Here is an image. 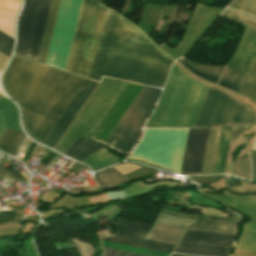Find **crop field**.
I'll return each mask as SVG.
<instances>
[{
  "label": "crop field",
  "mask_w": 256,
  "mask_h": 256,
  "mask_svg": "<svg viewBox=\"0 0 256 256\" xmlns=\"http://www.w3.org/2000/svg\"><path fill=\"white\" fill-rule=\"evenodd\" d=\"M85 78L14 55L3 87L21 108L24 128L41 142Z\"/></svg>",
  "instance_id": "8a807250"
},
{
  "label": "crop field",
  "mask_w": 256,
  "mask_h": 256,
  "mask_svg": "<svg viewBox=\"0 0 256 256\" xmlns=\"http://www.w3.org/2000/svg\"><path fill=\"white\" fill-rule=\"evenodd\" d=\"M107 11L131 25L172 62L135 25L116 12ZM111 13H106L90 78L99 81L101 75H105L162 88L171 63L143 36Z\"/></svg>",
  "instance_id": "ac0d7876"
},
{
  "label": "crop field",
  "mask_w": 256,
  "mask_h": 256,
  "mask_svg": "<svg viewBox=\"0 0 256 256\" xmlns=\"http://www.w3.org/2000/svg\"><path fill=\"white\" fill-rule=\"evenodd\" d=\"M141 88V85L127 82L90 138L104 142ZM160 91L161 90L143 86L103 144L125 155L135 144L141 126L154 105Z\"/></svg>",
  "instance_id": "34b2d1b8"
},
{
  "label": "crop field",
  "mask_w": 256,
  "mask_h": 256,
  "mask_svg": "<svg viewBox=\"0 0 256 256\" xmlns=\"http://www.w3.org/2000/svg\"><path fill=\"white\" fill-rule=\"evenodd\" d=\"M207 85L173 65L157 108L146 127H192Z\"/></svg>",
  "instance_id": "412701ff"
},
{
  "label": "crop field",
  "mask_w": 256,
  "mask_h": 256,
  "mask_svg": "<svg viewBox=\"0 0 256 256\" xmlns=\"http://www.w3.org/2000/svg\"><path fill=\"white\" fill-rule=\"evenodd\" d=\"M106 9L96 0H83L66 71L90 77Z\"/></svg>",
  "instance_id": "f4fd0767"
},
{
  "label": "crop field",
  "mask_w": 256,
  "mask_h": 256,
  "mask_svg": "<svg viewBox=\"0 0 256 256\" xmlns=\"http://www.w3.org/2000/svg\"><path fill=\"white\" fill-rule=\"evenodd\" d=\"M126 82L103 78L55 150L65 153L82 135L89 138Z\"/></svg>",
  "instance_id": "dd49c442"
},
{
  "label": "crop field",
  "mask_w": 256,
  "mask_h": 256,
  "mask_svg": "<svg viewBox=\"0 0 256 256\" xmlns=\"http://www.w3.org/2000/svg\"><path fill=\"white\" fill-rule=\"evenodd\" d=\"M239 102L209 86L193 127L252 125V111Z\"/></svg>",
  "instance_id": "e52e79f7"
},
{
  "label": "crop field",
  "mask_w": 256,
  "mask_h": 256,
  "mask_svg": "<svg viewBox=\"0 0 256 256\" xmlns=\"http://www.w3.org/2000/svg\"><path fill=\"white\" fill-rule=\"evenodd\" d=\"M51 0H25L18 23L15 54L37 59Z\"/></svg>",
  "instance_id": "d8731c3e"
},
{
  "label": "crop field",
  "mask_w": 256,
  "mask_h": 256,
  "mask_svg": "<svg viewBox=\"0 0 256 256\" xmlns=\"http://www.w3.org/2000/svg\"><path fill=\"white\" fill-rule=\"evenodd\" d=\"M82 0H61L46 64L65 69Z\"/></svg>",
  "instance_id": "5a996713"
},
{
  "label": "crop field",
  "mask_w": 256,
  "mask_h": 256,
  "mask_svg": "<svg viewBox=\"0 0 256 256\" xmlns=\"http://www.w3.org/2000/svg\"><path fill=\"white\" fill-rule=\"evenodd\" d=\"M235 234L185 230L175 253L203 256H229Z\"/></svg>",
  "instance_id": "3316defc"
},
{
  "label": "crop field",
  "mask_w": 256,
  "mask_h": 256,
  "mask_svg": "<svg viewBox=\"0 0 256 256\" xmlns=\"http://www.w3.org/2000/svg\"><path fill=\"white\" fill-rule=\"evenodd\" d=\"M151 225L118 219V233L101 240L171 254L174 246L143 239Z\"/></svg>",
  "instance_id": "28ad6ade"
},
{
  "label": "crop field",
  "mask_w": 256,
  "mask_h": 256,
  "mask_svg": "<svg viewBox=\"0 0 256 256\" xmlns=\"http://www.w3.org/2000/svg\"><path fill=\"white\" fill-rule=\"evenodd\" d=\"M221 11V9L197 4L181 41L168 54L174 59L184 55Z\"/></svg>",
  "instance_id": "d1516ede"
},
{
  "label": "crop field",
  "mask_w": 256,
  "mask_h": 256,
  "mask_svg": "<svg viewBox=\"0 0 256 256\" xmlns=\"http://www.w3.org/2000/svg\"><path fill=\"white\" fill-rule=\"evenodd\" d=\"M97 84L98 83L86 79L48 136L43 141V144L54 148Z\"/></svg>",
  "instance_id": "22f410ed"
},
{
  "label": "crop field",
  "mask_w": 256,
  "mask_h": 256,
  "mask_svg": "<svg viewBox=\"0 0 256 256\" xmlns=\"http://www.w3.org/2000/svg\"><path fill=\"white\" fill-rule=\"evenodd\" d=\"M162 212L179 215V216L207 219V220H221V221L234 222L233 218L196 216V215H188V214L176 213V212L165 211V210H162ZM156 222L182 226L187 228H193V229H203V230L231 232V233H236V227L238 224V223H230V222L205 221V220L188 219L184 217H174V216H169L162 213H160Z\"/></svg>",
  "instance_id": "cbeb9de0"
},
{
  "label": "crop field",
  "mask_w": 256,
  "mask_h": 256,
  "mask_svg": "<svg viewBox=\"0 0 256 256\" xmlns=\"http://www.w3.org/2000/svg\"><path fill=\"white\" fill-rule=\"evenodd\" d=\"M209 129H189L181 171L183 175L201 172Z\"/></svg>",
  "instance_id": "5142ce71"
},
{
  "label": "crop field",
  "mask_w": 256,
  "mask_h": 256,
  "mask_svg": "<svg viewBox=\"0 0 256 256\" xmlns=\"http://www.w3.org/2000/svg\"><path fill=\"white\" fill-rule=\"evenodd\" d=\"M255 56L256 30L247 26L234 56L227 65L247 73Z\"/></svg>",
  "instance_id": "d9b57169"
},
{
  "label": "crop field",
  "mask_w": 256,
  "mask_h": 256,
  "mask_svg": "<svg viewBox=\"0 0 256 256\" xmlns=\"http://www.w3.org/2000/svg\"><path fill=\"white\" fill-rule=\"evenodd\" d=\"M3 97L0 99V136L6 127L22 132L17 107Z\"/></svg>",
  "instance_id": "733c2abd"
},
{
  "label": "crop field",
  "mask_w": 256,
  "mask_h": 256,
  "mask_svg": "<svg viewBox=\"0 0 256 256\" xmlns=\"http://www.w3.org/2000/svg\"><path fill=\"white\" fill-rule=\"evenodd\" d=\"M17 0H0V30L13 36L14 21L20 9Z\"/></svg>",
  "instance_id": "4a817a6b"
},
{
  "label": "crop field",
  "mask_w": 256,
  "mask_h": 256,
  "mask_svg": "<svg viewBox=\"0 0 256 256\" xmlns=\"http://www.w3.org/2000/svg\"><path fill=\"white\" fill-rule=\"evenodd\" d=\"M183 228L155 223L146 239L175 245Z\"/></svg>",
  "instance_id": "bc2a9ffb"
},
{
  "label": "crop field",
  "mask_w": 256,
  "mask_h": 256,
  "mask_svg": "<svg viewBox=\"0 0 256 256\" xmlns=\"http://www.w3.org/2000/svg\"><path fill=\"white\" fill-rule=\"evenodd\" d=\"M181 64L183 66H185L189 71H191L194 75H196L204 80H207L209 82H212L214 84H216V82L225 66V65L213 66V65L196 64L187 59H184Z\"/></svg>",
  "instance_id": "214f88e0"
},
{
  "label": "crop field",
  "mask_w": 256,
  "mask_h": 256,
  "mask_svg": "<svg viewBox=\"0 0 256 256\" xmlns=\"http://www.w3.org/2000/svg\"><path fill=\"white\" fill-rule=\"evenodd\" d=\"M209 196L238 210L239 212H241L246 216L256 219V201L250 198H240V197H231V196H212V195H209Z\"/></svg>",
  "instance_id": "92a150f3"
},
{
  "label": "crop field",
  "mask_w": 256,
  "mask_h": 256,
  "mask_svg": "<svg viewBox=\"0 0 256 256\" xmlns=\"http://www.w3.org/2000/svg\"><path fill=\"white\" fill-rule=\"evenodd\" d=\"M59 4H60V0H52V4H51V8H50V12H49L41 48H40V52H39V56H38V60H37L39 62H43V63L45 62V58H46L50 38L52 35V31H53L57 11L59 8Z\"/></svg>",
  "instance_id": "dafd665d"
},
{
  "label": "crop field",
  "mask_w": 256,
  "mask_h": 256,
  "mask_svg": "<svg viewBox=\"0 0 256 256\" xmlns=\"http://www.w3.org/2000/svg\"><path fill=\"white\" fill-rule=\"evenodd\" d=\"M26 135L6 128L0 137V150L15 155Z\"/></svg>",
  "instance_id": "00972430"
},
{
  "label": "crop field",
  "mask_w": 256,
  "mask_h": 256,
  "mask_svg": "<svg viewBox=\"0 0 256 256\" xmlns=\"http://www.w3.org/2000/svg\"><path fill=\"white\" fill-rule=\"evenodd\" d=\"M102 146L96 145L94 143L88 142L82 136L73 144V146L65 153V155L75 159L83 160L90 154L94 153Z\"/></svg>",
  "instance_id": "a9b5d70f"
},
{
  "label": "crop field",
  "mask_w": 256,
  "mask_h": 256,
  "mask_svg": "<svg viewBox=\"0 0 256 256\" xmlns=\"http://www.w3.org/2000/svg\"><path fill=\"white\" fill-rule=\"evenodd\" d=\"M95 179L101 188V190L118 186L126 181L122 174H120L114 168L94 173Z\"/></svg>",
  "instance_id": "4177f3b9"
},
{
  "label": "crop field",
  "mask_w": 256,
  "mask_h": 256,
  "mask_svg": "<svg viewBox=\"0 0 256 256\" xmlns=\"http://www.w3.org/2000/svg\"><path fill=\"white\" fill-rule=\"evenodd\" d=\"M237 249L256 253V222L251 221L244 225L243 234L239 239Z\"/></svg>",
  "instance_id": "730fd06b"
},
{
  "label": "crop field",
  "mask_w": 256,
  "mask_h": 256,
  "mask_svg": "<svg viewBox=\"0 0 256 256\" xmlns=\"http://www.w3.org/2000/svg\"><path fill=\"white\" fill-rule=\"evenodd\" d=\"M245 76L246 73L227 66L218 85L238 92Z\"/></svg>",
  "instance_id": "eef30255"
},
{
  "label": "crop field",
  "mask_w": 256,
  "mask_h": 256,
  "mask_svg": "<svg viewBox=\"0 0 256 256\" xmlns=\"http://www.w3.org/2000/svg\"><path fill=\"white\" fill-rule=\"evenodd\" d=\"M232 127L222 128L213 174L222 173Z\"/></svg>",
  "instance_id": "ae1a2a85"
},
{
  "label": "crop field",
  "mask_w": 256,
  "mask_h": 256,
  "mask_svg": "<svg viewBox=\"0 0 256 256\" xmlns=\"http://www.w3.org/2000/svg\"><path fill=\"white\" fill-rule=\"evenodd\" d=\"M119 160L116 156L108 152L104 147L85 159L83 162L87 163L93 170H97L103 166L110 165Z\"/></svg>",
  "instance_id": "d3111659"
},
{
  "label": "crop field",
  "mask_w": 256,
  "mask_h": 256,
  "mask_svg": "<svg viewBox=\"0 0 256 256\" xmlns=\"http://www.w3.org/2000/svg\"><path fill=\"white\" fill-rule=\"evenodd\" d=\"M238 93L256 103V58Z\"/></svg>",
  "instance_id": "750c4746"
},
{
  "label": "crop field",
  "mask_w": 256,
  "mask_h": 256,
  "mask_svg": "<svg viewBox=\"0 0 256 256\" xmlns=\"http://www.w3.org/2000/svg\"><path fill=\"white\" fill-rule=\"evenodd\" d=\"M220 16L230 19V20H233V21H236V22H239V23H242V24H245V25H248V26L256 29V19L246 16L244 14L226 9Z\"/></svg>",
  "instance_id": "bd1437ed"
},
{
  "label": "crop field",
  "mask_w": 256,
  "mask_h": 256,
  "mask_svg": "<svg viewBox=\"0 0 256 256\" xmlns=\"http://www.w3.org/2000/svg\"><path fill=\"white\" fill-rule=\"evenodd\" d=\"M228 7L256 16V0H233Z\"/></svg>",
  "instance_id": "1d83c4d3"
},
{
  "label": "crop field",
  "mask_w": 256,
  "mask_h": 256,
  "mask_svg": "<svg viewBox=\"0 0 256 256\" xmlns=\"http://www.w3.org/2000/svg\"><path fill=\"white\" fill-rule=\"evenodd\" d=\"M13 49V38L0 32V52L10 56Z\"/></svg>",
  "instance_id": "120bbe31"
},
{
  "label": "crop field",
  "mask_w": 256,
  "mask_h": 256,
  "mask_svg": "<svg viewBox=\"0 0 256 256\" xmlns=\"http://www.w3.org/2000/svg\"><path fill=\"white\" fill-rule=\"evenodd\" d=\"M153 171L146 169L144 167H141L127 175H125V177H127L129 180H133V179H138V178H142L150 173H152Z\"/></svg>",
  "instance_id": "d32e631a"
},
{
  "label": "crop field",
  "mask_w": 256,
  "mask_h": 256,
  "mask_svg": "<svg viewBox=\"0 0 256 256\" xmlns=\"http://www.w3.org/2000/svg\"><path fill=\"white\" fill-rule=\"evenodd\" d=\"M218 177H222V175H215V176H201V177H189L193 181L199 183L200 185H205L210 182H214L218 179Z\"/></svg>",
  "instance_id": "5866460e"
},
{
  "label": "crop field",
  "mask_w": 256,
  "mask_h": 256,
  "mask_svg": "<svg viewBox=\"0 0 256 256\" xmlns=\"http://www.w3.org/2000/svg\"><path fill=\"white\" fill-rule=\"evenodd\" d=\"M18 212L15 211H1L0 212V224L12 222Z\"/></svg>",
  "instance_id": "028f5c9d"
},
{
  "label": "crop field",
  "mask_w": 256,
  "mask_h": 256,
  "mask_svg": "<svg viewBox=\"0 0 256 256\" xmlns=\"http://www.w3.org/2000/svg\"><path fill=\"white\" fill-rule=\"evenodd\" d=\"M103 256H142V255H137V254H131V253H126V252H121V251H116V250L105 249V253L103 254Z\"/></svg>",
  "instance_id": "e1f06a70"
},
{
  "label": "crop field",
  "mask_w": 256,
  "mask_h": 256,
  "mask_svg": "<svg viewBox=\"0 0 256 256\" xmlns=\"http://www.w3.org/2000/svg\"><path fill=\"white\" fill-rule=\"evenodd\" d=\"M252 160L253 180L256 182V151L252 150L250 153Z\"/></svg>",
  "instance_id": "0bd39190"
},
{
  "label": "crop field",
  "mask_w": 256,
  "mask_h": 256,
  "mask_svg": "<svg viewBox=\"0 0 256 256\" xmlns=\"http://www.w3.org/2000/svg\"><path fill=\"white\" fill-rule=\"evenodd\" d=\"M247 128L248 127H244V126L233 127L230 140L235 139L239 133H241L242 131H244Z\"/></svg>",
  "instance_id": "b80d0937"
},
{
  "label": "crop field",
  "mask_w": 256,
  "mask_h": 256,
  "mask_svg": "<svg viewBox=\"0 0 256 256\" xmlns=\"http://www.w3.org/2000/svg\"><path fill=\"white\" fill-rule=\"evenodd\" d=\"M224 180L227 187L240 189V181H234L231 179H224Z\"/></svg>",
  "instance_id": "c035e120"
},
{
  "label": "crop field",
  "mask_w": 256,
  "mask_h": 256,
  "mask_svg": "<svg viewBox=\"0 0 256 256\" xmlns=\"http://www.w3.org/2000/svg\"><path fill=\"white\" fill-rule=\"evenodd\" d=\"M232 256H256V254L240 251V250H234V253Z\"/></svg>",
  "instance_id": "c21b1889"
},
{
  "label": "crop field",
  "mask_w": 256,
  "mask_h": 256,
  "mask_svg": "<svg viewBox=\"0 0 256 256\" xmlns=\"http://www.w3.org/2000/svg\"><path fill=\"white\" fill-rule=\"evenodd\" d=\"M9 57L3 55L2 53H0V70L2 71L3 67L5 66L7 60Z\"/></svg>",
  "instance_id": "03da06ac"
},
{
  "label": "crop field",
  "mask_w": 256,
  "mask_h": 256,
  "mask_svg": "<svg viewBox=\"0 0 256 256\" xmlns=\"http://www.w3.org/2000/svg\"><path fill=\"white\" fill-rule=\"evenodd\" d=\"M53 155H54V152L49 150L48 153L45 155V157L42 159L41 163L46 165Z\"/></svg>",
  "instance_id": "b54c1fbb"
},
{
  "label": "crop field",
  "mask_w": 256,
  "mask_h": 256,
  "mask_svg": "<svg viewBox=\"0 0 256 256\" xmlns=\"http://www.w3.org/2000/svg\"><path fill=\"white\" fill-rule=\"evenodd\" d=\"M36 145H37V144H35V143L32 142V144L30 145L29 149H28L27 152H26V155H25L24 159H27V158H28V156L31 154V152H32L33 149L36 147Z\"/></svg>",
  "instance_id": "5d738f31"
},
{
  "label": "crop field",
  "mask_w": 256,
  "mask_h": 256,
  "mask_svg": "<svg viewBox=\"0 0 256 256\" xmlns=\"http://www.w3.org/2000/svg\"><path fill=\"white\" fill-rule=\"evenodd\" d=\"M0 170H2L5 174H7L9 177H11L13 179L15 173L11 172L10 170L0 166Z\"/></svg>",
  "instance_id": "d23c7cc5"
},
{
  "label": "crop field",
  "mask_w": 256,
  "mask_h": 256,
  "mask_svg": "<svg viewBox=\"0 0 256 256\" xmlns=\"http://www.w3.org/2000/svg\"><path fill=\"white\" fill-rule=\"evenodd\" d=\"M230 214L234 217L235 221H238V222H241V221H242L241 218L237 217V216L234 215L233 213H230Z\"/></svg>",
  "instance_id": "425ffa30"
},
{
  "label": "crop field",
  "mask_w": 256,
  "mask_h": 256,
  "mask_svg": "<svg viewBox=\"0 0 256 256\" xmlns=\"http://www.w3.org/2000/svg\"><path fill=\"white\" fill-rule=\"evenodd\" d=\"M172 256H190V255H179V254H173Z\"/></svg>",
  "instance_id": "25e5ab78"
},
{
  "label": "crop field",
  "mask_w": 256,
  "mask_h": 256,
  "mask_svg": "<svg viewBox=\"0 0 256 256\" xmlns=\"http://www.w3.org/2000/svg\"><path fill=\"white\" fill-rule=\"evenodd\" d=\"M2 96H0V98H1Z\"/></svg>",
  "instance_id": "73cf0c24"
},
{
  "label": "crop field",
  "mask_w": 256,
  "mask_h": 256,
  "mask_svg": "<svg viewBox=\"0 0 256 256\" xmlns=\"http://www.w3.org/2000/svg\"><path fill=\"white\" fill-rule=\"evenodd\" d=\"M0 174H2V173L0 172Z\"/></svg>",
  "instance_id": "89e229c0"
}]
</instances>
